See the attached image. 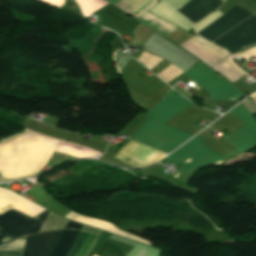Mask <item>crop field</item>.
<instances>
[{
	"label": "crop field",
	"instance_id": "8a807250",
	"mask_svg": "<svg viewBox=\"0 0 256 256\" xmlns=\"http://www.w3.org/2000/svg\"><path fill=\"white\" fill-rule=\"evenodd\" d=\"M58 142V139L26 129L0 142L1 180H16L36 175L47 163Z\"/></svg>",
	"mask_w": 256,
	"mask_h": 256
},
{
	"label": "crop field",
	"instance_id": "ac0d7876",
	"mask_svg": "<svg viewBox=\"0 0 256 256\" xmlns=\"http://www.w3.org/2000/svg\"><path fill=\"white\" fill-rule=\"evenodd\" d=\"M179 95L171 90L159 104L145 114L150 118L132 139L165 152L174 150L189 139L192 135L164 124V121L192 104Z\"/></svg>",
	"mask_w": 256,
	"mask_h": 256
},
{
	"label": "crop field",
	"instance_id": "34b2d1b8",
	"mask_svg": "<svg viewBox=\"0 0 256 256\" xmlns=\"http://www.w3.org/2000/svg\"><path fill=\"white\" fill-rule=\"evenodd\" d=\"M166 159L183 165L172 178L187 184L194 171L207 165H221L223 158L203 146L197 135Z\"/></svg>",
	"mask_w": 256,
	"mask_h": 256
},
{
	"label": "crop field",
	"instance_id": "412701ff",
	"mask_svg": "<svg viewBox=\"0 0 256 256\" xmlns=\"http://www.w3.org/2000/svg\"><path fill=\"white\" fill-rule=\"evenodd\" d=\"M190 79L210 92L212 100L239 101L245 94L197 61L185 73Z\"/></svg>",
	"mask_w": 256,
	"mask_h": 256
},
{
	"label": "crop field",
	"instance_id": "f4fd0767",
	"mask_svg": "<svg viewBox=\"0 0 256 256\" xmlns=\"http://www.w3.org/2000/svg\"><path fill=\"white\" fill-rule=\"evenodd\" d=\"M49 211L45 210L31 219L12 209L0 215V243L39 232Z\"/></svg>",
	"mask_w": 256,
	"mask_h": 256
},
{
	"label": "crop field",
	"instance_id": "dd49c442",
	"mask_svg": "<svg viewBox=\"0 0 256 256\" xmlns=\"http://www.w3.org/2000/svg\"><path fill=\"white\" fill-rule=\"evenodd\" d=\"M229 54L256 43V16L252 15L212 42Z\"/></svg>",
	"mask_w": 256,
	"mask_h": 256
},
{
	"label": "crop field",
	"instance_id": "e52e79f7",
	"mask_svg": "<svg viewBox=\"0 0 256 256\" xmlns=\"http://www.w3.org/2000/svg\"><path fill=\"white\" fill-rule=\"evenodd\" d=\"M166 154L147 146L130 141L115 158L134 167H144L158 161Z\"/></svg>",
	"mask_w": 256,
	"mask_h": 256
},
{
	"label": "crop field",
	"instance_id": "d8731c3e",
	"mask_svg": "<svg viewBox=\"0 0 256 256\" xmlns=\"http://www.w3.org/2000/svg\"><path fill=\"white\" fill-rule=\"evenodd\" d=\"M249 15H251V13H248L235 6L228 13L220 17L218 20H216L197 34L211 42L226 31H228L230 28L247 18Z\"/></svg>",
	"mask_w": 256,
	"mask_h": 256
},
{
	"label": "crop field",
	"instance_id": "5a996713",
	"mask_svg": "<svg viewBox=\"0 0 256 256\" xmlns=\"http://www.w3.org/2000/svg\"><path fill=\"white\" fill-rule=\"evenodd\" d=\"M209 67L228 56V53L202 39L194 37L179 45Z\"/></svg>",
	"mask_w": 256,
	"mask_h": 256
},
{
	"label": "crop field",
	"instance_id": "3316defc",
	"mask_svg": "<svg viewBox=\"0 0 256 256\" xmlns=\"http://www.w3.org/2000/svg\"><path fill=\"white\" fill-rule=\"evenodd\" d=\"M61 232L62 230L27 236L22 256H48Z\"/></svg>",
	"mask_w": 256,
	"mask_h": 256
},
{
	"label": "crop field",
	"instance_id": "28ad6ade",
	"mask_svg": "<svg viewBox=\"0 0 256 256\" xmlns=\"http://www.w3.org/2000/svg\"><path fill=\"white\" fill-rule=\"evenodd\" d=\"M10 208L31 218L45 210L13 192L0 188V214Z\"/></svg>",
	"mask_w": 256,
	"mask_h": 256
},
{
	"label": "crop field",
	"instance_id": "d1516ede",
	"mask_svg": "<svg viewBox=\"0 0 256 256\" xmlns=\"http://www.w3.org/2000/svg\"><path fill=\"white\" fill-rule=\"evenodd\" d=\"M221 3L220 0H190L178 13L195 23Z\"/></svg>",
	"mask_w": 256,
	"mask_h": 256
},
{
	"label": "crop field",
	"instance_id": "22f410ed",
	"mask_svg": "<svg viewBox=\"0 0 256 256\" xmlns=\"http://www.w3.org/2000/svg\"><path fill=\"white\" fill-rule=\"evenodd\" d=\"M82 230L100 233V230L83 225ZM98 235L80 231L67 256H87Z\"/></svg>",
	"mask_w": 256,
	"mask_h": 256
},
{
	"label": "crop field",
	"instance_id": "cbeb9de0",
	"mask_svg": "<svg viewBox=\"0 0 256 256\" xmlns=\"http://www.w3.org/2000/svg\"><path fill=\"white\" fill-rule=\"evenodd\" d=\"M150 13L174 24L187 31L192 28L191 24L162 0L151 7Z\"/></svg>",
	"mask_w": 256,
	"mask_h": 256
},
{
	"label": "crop field",
	"instance_id": "5142ce71",
	"mask_svg": "<svg viewBox=\"0 0 256 256\" xmlns=\"http://www.w3.org/2000/svg\"><path fill=\"white\" fill-rule=\"evenodd\" d=\"M81 227L82 224L68 221L65 229L63 230L60 238L58 239L49 256H65Z\"/></svg>",
	"mask_w": 256,
	"mask_h": 256
},
{
	"label": "crop field",
	"instance_id": "d9b57169",
	"mask_svg": "<svg viewBox=\"0 0 256 256\" xmlns=\"http://www.w3.org/2000/svg\"><path fill=\"white\" fill-rule=\"evenodd\" d=\"M222 138L225 139L228 143H230L240 152L256 146V139L248 132L245 126Z\"/></svg>",
	"mask_w": 256,
	"mask_h": 256
},
{
	"label": "crop field",
	"instance_id": "733c2abd",
	"mask_svg": "<svg viewBox=\"0 0 256 256\" xmlns=\"http://www.w3.org/2000/svg\"><path fill=\"white\" fill-rule=\"evenodd\" d=\"M218 71L221 75H223L227 80L231 83L244 76L235 65H233L230 61V57L225 58L221 62L217 63L213 67H211Z\"/></svg>",
	"mask_w": 256,
	"mask_h": 256
},
{
	"label": "crop field",
	"instance_id": "4a817a6b",
	"mask_svg": "<svg viewBox=\"0 0 256 256\" xmlns=\"http://www.w3.org/2000/svg\"><path fill=\"white\" fill-rule=\"evenodd\" d=\"M229 113L239 117L242 120V122L245 124V126L248 128V130L256 138V122L242 103L238 105L236 108H234L232 111H230Z\"/></svg>",
	"mask_w": 256,
	"mask_h": 256
},
{
	"label": "crop field",
	"instance_id": "bc2a9ffb",
	"mask_svg": "<svg viewBox=\"0 0 256 256\" xmlns=\"http://www.w3.org/2000/svg\"><path fill=\"white\" fill-rule=\"evenodd\" d=\"M24 240H15L0 247V256H21Z\"/></svg>",
	"mask_w": 256,
	"mask_h": 256
},
{
	"label": "crop field",
	"instance_id": "214f88e0",
	"mask_svg": "<svg viewBox=\"0 0 256 256\" xmlns=\"http://www.w3.org/2000/svg\"><path fill=\"white\" fill-rule=\"evenodd\" d=\"M98 256H125L123 252L106 242L103 248L96 254Z\"/></svg>",
	"mask_w": 256,
	"mask_h": 256
},
{
	"label": "crop field",
	"instance_id": "92a150f3",
	"mask_svg": "<svg viewBox=\"0 0 256 256\" xmlns=\"http://www.w3.org/2000/svg\"><path fill=\"white\" fill-rule=\"evenodd\" d=\"M221 15H223V14H221L219 11L215 10L211 15L207 16L206 18L201 20L199 23L194 25L195 32L196 33L199 32L201 29H203L204 27L209 25L211 22H213L214 20L219 18Z\"/></svg>",
	"mask_w": 256,
	"mask_h": 256
},
{
	"label": "crop field",
	"instance_id": "dafd665d",
	"mask_svg": "<svg viewBox=\"0 0 256 256\" xmlns=\"http://www.w3.org/2000/svg\"><path fill=\"white\" fill-rule=\"evenodd\" d=\"M250 55L256 57V46L251 47L249 49H246V50H244L242 52H239L237 54H234V56H241V57H244L245 59H248Z\"/></svg>",
	"mask_w": 256,
	"mask_h": 256
},
{
	"label": "crop field",
	"instance_id": "00972430",
	"mask_svg": "<svg viewBox=\"0 0 256 256\" xmlns=\"http://www.w3.org/2000/svg\"><path fill=\"white\" fill-rule=\"evenodd\" d=\"M167 4L172 6L176 11L180 9L189 0H164Z\"/></svg>",
	"mask_w": 256,
	"mask_h": 256
},
{
	"label": "crop field",
	"instance_id": "a9b5d70f",
	"mask_svg": "<svg viewBox=\"0 0 256 256\" xmlns=\"http://www.w3.org/2000/svg\"><path fill=\"white\" fill-rule=\"evenodd\" d=\"M253 116V118L256 120V112L251 114Z\"/></svg>",
	"mask_w": 256,
	"mask_h": 256
},
{
	"label": "crop field",
	"instance_id": "4177f3b9",
	"mask_svg": "<svg viewBox=\"0 0 256 256\" xmlns=\"http://www.w3.org/2000/svg\"><path fill=\"white\" fill-rule=\"evenodd\" d=\"M252 98L255 100V102H256V94H254V95H252ZM253 100V101H254Z\"/></svg>",
	"mask_w": 256,
	"mask_h": 256
},
{
	"label": "crop field",
	"instance_id": "730fd06b",
	"mask_svg": "<svg viewBox=\"0 0 256 256\" xmlns=\"http://www.w3.org/2000/svg\"><path fill=\"white\" fill-rule=\"evenodd\" d=\"M1 245V244H0Z\"/></svg>",
	"mask_w": 256,
	"mask_h": 256
},
{
	"label": "crop field",
	"instance_id": "eef30255",
	"mask_svg": "<svg viewBox=\"0 0 256 256\" xmlns=\"http://www.w3.org/2000/svg\"><path fill=\"white\" fill-rule=\"evenodd\" d=\"M95 256V255H94Z\"/></svg>",
	"mask_w": 256,
	"mask_h": 256
}]
</instances>
